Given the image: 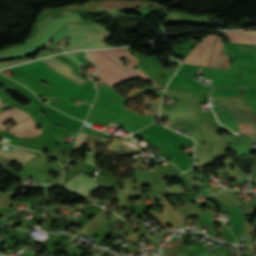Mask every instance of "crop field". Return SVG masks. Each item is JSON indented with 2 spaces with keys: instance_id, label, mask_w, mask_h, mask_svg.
Returning <instances> with one entry per match:
<instances>
[{
  "instance_id": "13",
  "label": "crop field",
  "mask_w": 256,
  "mask_h": 256,
  "mask_svg": "<svg viewBox=\"0 0 256 256\" xmlns=\"http://www.w3.org/2000/svg\"><path fill=\"white\" fill-rule=\"evenodd\" d=\"M87 134L81 133L74 149H81Z\"/></svg>"
},
{
  "instance_id": "15",
  "label": "crop field",
  "mask_w": 256,
  "mask_h": 256,
  "mask_svg": "<svg viewBox=\"0 0 256 256\" xmlns=\"http://www.w3.org/2000/svg\"><path fill=\"white\" fill-rule=\"evenodd\" d=\"M231 33H242V34H254V35H256V31H233Z\"/></svg>"
},
{
  "instance_id": "12",
  "label": "crop field",
  "mask_w": 256,
  "mask_h": 256,
  "mask_svg": "<svg viewBox=\"0 0 256 256\" xmlns=\"http://www.w3.org/2000/svg\"><path fill=\"white\" fill-rule=\"evenodd\" d=\"M85 162L96 167V165H95V153L86 152V161Z\"/></svg>"
},
{
  "instance_id": "8",
  "label": "crop field",
  "mask_w": 256,
  "mask_h": 256,
  "mask_svg": "<svg viewBox=\"0 0 256 256\" xmlns=\"http://www.w3.org/2000/svg\"><path fill=\"white\" fill-rule=\"evenodd\" d=\"M112 57H114L115 59H117L119 61L120 57L123 56L127 59L130 60L131 65L127 66V68L132 71L134 74L138 75L139 77H141L143 80L149 81L151 83H153L155 85V87H158L153 80H151L150 78H148L146 75H144L142 72H140L138 69L137 70H132L130 67L131 66H136V63L131 60L129 57H127L123 52H121L119 49L117 50H106Z\"/></svg>"
},
{
  "instance_id": "2",
  "label": "crop field",
  "mask_w": 256,
  "mask_h": 256,
  "mask_svg": "<svg viewBox=\"0 0 256 256\" xmlns=\"http://www.w3.org/2000/svg\"><path fill=\"white\" fill-rule=\"evenodd\" d=\"M72 35L65 51L72 49H88L95 47H109L103 41L108 37L103 26L94 23L90 25L67 24L65 27Z\"/></svg>"
},
{
  "instance_id": "4",
  "label": "crop field",
  "mask_w": 256,
  "mask_h": 256,
  "mask_svg": "<svg viewBox=\"0 0 256 256\" xmlns=\"http://www.w3.org/2000/svg\"><path fill=\"white\" fill-rule=\"evenodd\" d=\"M31 121H33L32 118H29V119L19 123L18 125L14 126L12 129H10L8 131L13 133ZM36 127L37 126L34 124V122H31L28 125H26L25 127L21 128L20 130L15 132L14 134H16L18 137H35L42 132L41 129L36 130L35 129Z\"/></svg>"
},
{
  "instance_id": "11",
  "label": "crop field",
  "mask_w": 256,
  "mask_h": 256,
  "mask_svg": "<svg viewBox=\"0 0 256 256\" xmlns=\"http://www.w3.org/2000/svg\"><path fill=\"white\" fill-rule=\"evenodd\" d=\"M31 60L32 59H23V60L11 61V62H3V63H0V68L12 66L15 64H19V63H23V62H27V61H31Z\"/></svg>"
},
{
  "instance_id": "5",
  "label": "crop field",
  "mask_w": 256,
  "mask_h": 256,
  "mask_svg": "<svg viewBox=\"0 0 256 256\" xmlns=\"http://www.w3.org/2000/svg\"><path fill=\"white\" fill-rule=\"evenodd\" d=\"M50 59H52L53 61H55L56 63L60 64L61 66H63L64 68L68 69L69 71H71V67L67 66L66 64L62 63L61 61L50 57ZM50 59H44L41 60L44 63H46L48 66H50L51 68H53L54 70H56L57 72L61 73L62 75H64L65 77L81 84L86 82L85 80L79 78L78 76L72 74L71 72L67 71L66 69H64L63 67L59 66L58 64H56L55 62L51 61Z\"/></svg>"
},
{
  "instance_id": "14",
  "label": "crop field",
  "mask_w": 256,
  "mask_h": 256,
  "mask_svg": "<svg viewBox=\"0 0 256 256\" xmlns=\"http://www.w3.org/2000/svg\"><path fill=\"white\" fill-rule=\"evenodd\" d=\"M120 50L123 51L130 58H132L134 61L138 62V60L129 51H127L125 48H121Z\"/></svg>"
},
{
  "instance_id": "3",
  "label": "crop field",
  "mask_w": 256,
  "mask_h": 256,
  "mask_svg": "<svg viewBox=\"0 0 256 256\" xmlns=\"http://www.w3.org/2000/svg\"><path fill=\"white\" fill-rule=\"evenodd\" d=\"M231 42H240V43H248V44H256V36L253 35H241V34H230L226 33ZM240 53H250V54H256V45H248V44H239L234 43ZM253 47L254 49H250Z\"/></svg>"
},
{
  "instance_id": "9",
  "label": "crop field",
  "mask_w": 256,
  "mask_h": 256,
  "mask_svg": "<svg viewBox=\"0 0 256 256\" xmlns=\"http://www.w3.org/2000/svg\"><path fill=\"white\" fill-rule=\"evenodd\" d=\"M91 181H93V179L89 178L88 176H86L85 174H83L81 172L76 177H74L72 180L65 183L64 185H66L76 191Z\"/></svg>"
},
{
  "instance_id": "16",
  "label": "crop field",
  "mask_w": 256,
  "mask_h": 256,
  "mask_svg": "<svg viewBox=\"0 0 256 256\" xmlns=\"http://www.w3.org/2000/svg\"><path fill=\"white\" fill-rule=\"evenodd\" d=\"M1 106H4V105H3V103L0 101V107H1Z\"/></svg>"
},
{
  "instance_id": "7",
  "label": "crop field",
  "mask_w": 256,
  "mask_h": 256,
  "mask_svg": "<svg viewBox=\"0 0 256 256\" xmlns=\"http://www.w3.org/2000/svg\"><path fill=\"white\" fill-rule=\"evenodd\" d=\"M0 112H2V109H1V108H0ZM22 112H24V111H22V110H20V109H16V108H13V109H11V110L4 111V112L0 113V123H2V122H4V121H6V120H8V119H10V118H12V117L18 115V114H20V113H22ZM28 117H30V115L25 112V113H23V114H21V115L15 117V118H13L14 121H12L10 124H8V125L5 126V127H4L2 124H0V130L3 131V130H5L7 127H9L10 125H12L13 123H15V122L19 123V122H21L22 120H24V119H26V118H28Z\"/></svg>"
},
{
  "instance_id": "1",
  "label": "crop field",
  "mask_w": 256,
  "mask_h": 256,
  "mask_svg": "<svg viewBox=\"0 0 256 256\" xmlns=\"http://www.w3.org/2000/svg\"><path fill=\"white\" fill-rule=\"evenodd\" d=\"M215 37L216 36H207L191 51L184 63L205 66ZM223 52L226 51L222 45V39L217 36L206 66L229 70L228 56L227 53L226 55H222ZM200 53H202V56H199Z\"/></svg>"
},
{
  "instance_id": "6",
  "label": "crop field",
  "mask_w": 256,
  "mask_h": 256,
  "mask_svg": "<svg viewBox=\"0 0 256 256\" xmlns=\"http://www.w3.org/2000/svg\"><path fill=\"white\" fill-rule=\"evenodd\" d=\"M0 155L20 164L27 163L34 157V154L12 147L11 150L6 153L0 150Z\"/></svg>"
},
{
  "instance_id": "10",
  "label": "crop field",
  "mask_w": 256,
  "mask_h": 256,
  "mask_svg": "<svg viewBox=\"0 0 256 256\" xmlns=\"http://www.w3.org/2000/svg\"><path fill=\"white\" fill-rule=\"evenodd\" d=\"M98 186H102L105 188L110 189V186H106V185H102V184H98V183H90L89 185L85 186L84 188H82L81 190L77 191V193L85 198L86 196H88L91 192L95 191L96 189H98Z\"/></svg>"
}]
</instances>
